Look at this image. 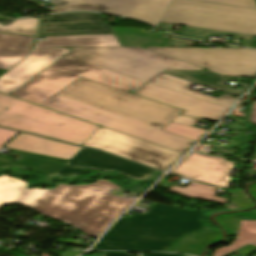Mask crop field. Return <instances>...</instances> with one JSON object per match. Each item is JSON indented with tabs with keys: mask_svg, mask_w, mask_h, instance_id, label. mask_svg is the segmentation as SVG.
Listing matches in <instances>:
<instances>
[{
	"mask_svg": "<svg viewBox=\"0 0 256 256\" xmlns=\"http://www.w3.org/2000/svg\"><path fill=\"white\" fill-rule=\"evenodd\" d=\"M164 73L179 77V78H183L189 81H193L229 94H233V95H237V96H241L243 93L246 92V90L242 89V90H238V89H233L230 88L227 85L222 84L224 81L228 80V81H232L238 84H242L244 85V88H251V85H247L244 83H240L237 81H233L230 79H226L224 77H221L219 75H216L214 73H211L209 71H189V70H166L164 71Z\"/></svg>",
	"mask_w": 256,
	"mask_h": 256,
	"instance_id": "20",
	"label": "crop field"
},
{
	"mask_svg": "<svg viewBox=\"0 0 256 256\" xmlns=\"http://www.w3.org/2000/svg\"><path fill=\"white\" fill-rule=\"evenodd\" d=\"M247 244L256 246V221L241 220L236 240L227 247L215 250L213 256H223Z\"/></svg>",
	"mask_w": 256,
	"mask_h": 256,
	"instance_id": "22",
	"label": "crop field"
},
{
	"mask_svg": "<svg viewBox=\"0 0 256 256\" xmlns=\"http://www.w3.org/2000/svg\"><path fill=\"white\" fill-rule=\"evenodd\" d=\"M123 46L132 47H169L168 33L165 35L148 34L146 29L112 28Z\"/></svg>",
	"mask_w": 256,
	"mask_h": 256,
	"instance_id": "21",
	"label": "crop field"
},
{
	"mask_svg": "<svg viewBox=\"0 0 256 256\" xmlns=\"http://www.w3.org/2000/svg\"><path fill=\"white\" fill-rule=\"evenodd\" d=\"M102 256H130V255H127L121 252H102ZM147 256H180V255L151 253Z\"/></svg>",
	"mask_w": 256,
	"mask_h": 256,
	"instance_id": "31",
	"label": "crop field"
},
{
	"mask_svg": "<svg viewBox=\"0 0 256 256\" xmlns=\"http://www.w3.org/2000/svg\"><path fill=\"white\" fill-rule=\"evenodd\" d=\"M26 186L25 182L1 176L0 209L20 203L41 214L72 224L93 236H99L134 201L113 196L109 190L120 188L101 179L91 185L60 184L52 190H26Z\"/></svg>",
	"mask_w": 256,
	"mask_h": 256,
	"instance_id": "2",
	"label": "crop field"
},
{
	"mask_svg": "<svg viewBox=\"0 0 256 256\" xmlns=\"http://www.w3.org/2000/svg\"><path fill=\"white\" fill-rule=\"evenodd\" d=\"M79 77L127 92L145 85V82L64 55L10 96L41 105Z\"/></svg>",
	"mask_w": 256,
	"mask_h": 256,
	"instance_id": "5",
	"label": "crop field"
},
{
	"mask_svg": "<svg viewBox=\"0 0 256 256\" xmlns=\"http://www.w3.org/2000/svg\"><path fill=\"white\" fill-rule=\"evenodd\" d=\"M68 164L93 167L107 171L109 169H115L123 174L136 177L145 178L150 175L154 170L137 165L135 163L114 157L112 155L93 150L82 148L69 162Z\"/></svg>",
	"mask_w": 256,
	"mask_h": 256,
	"instance_id": "15",
	"label": "crop field"
},
{
	"mask_svg": "<svg viewBox=\"0 0 256 256\" xmlns=\"http://www.w3.org/2000/svg\"><path fill=\"white\" fill-rule=\"evenodd\" d=\"M135 94L165 102L186 110L183 114L219 121L230 109L181 94L154 84H146Z\"/></svg>",
	"mask_w": 256,
	"mask_h": 256,
	"instance_id": "14",
	"label": "crop field"
},
{
	"mask_svg": "<svg viewBox=\"0 0 256 256\" xmlns=\"http://www.w3.org/2000/svg\"><path fill=\"white\" fill-rule=\"evenodd\" d=\"M66 55L107 68L137 80L151 82L227 108L237 98L221 95L218 99L187 89L193 82L162 73L166 69L203 70L184 61L143 48L75 47Z\"/></svg>",
	"mask_w": 256,
	"mask_h": 256,
	"instance_id": "4",
	"label": "crop field"
},
{
	"mask_svg": "<svg viewBox=\"0 0 256 256\" xmlns=\"http://www.w3.org/2000/svg\"><path fill=\"white\" fill-rule=\"evenodd\" d=\"M162 130L171 132L192 140L197 141V139L200 137V135H203L207 132V130L198 129L174 122H170L167 126H165Z\"/></svg>",
	"mask_w": 256,
	"mask_h": 256,
	"instance_id": "26",
	"label": "crop field"
},
{
	"mask_svg": "<svg viewBox=\"0 0 256 256\" xmlns=\"http://www.w3.org/2000/svg\"><path fill=\"white\" fill-rule=\"evenodd\" d=\"M204 210L155 204L145 215L121 217L94 247L101 250L182 252L200 256L221 234L202 224Z\"/></svg>",
	"mask_w": 256,
	"mask_h": 256,
	"instance_id": "3",
	"label": "crop field"
},
{
	"mask_svg": "<svg viewBox=\"0 0 256 256\" xmlns=\"http://www.w3.org/2000/svg\"><path fill=\"white\" fill-rule=\"evenodd\" d=\"M212 186L201 184L192 181L183 191L179 194L185 195L187 197H194L198 199L215 201L224 204L226 198L215 197V191L212 190Z\"/></svg>",
	"mask_w": 256,
	"mask_h": 256,
	"instance_id": "23",
	"label": "crop field"
},
{
	"mask_svg": "<svg viewBox=\"0 0 256 256\" xmlns=\"http://www.w3.org/2000/svg\"><path fill=\"white\" fill-rule=\"evenodd\" d=\"M83 146L106 151L166 171L182 154L100 127Z\"/></svg>",
	"mask_w": 256,
	"mask_h": 256,
	"instance_id": "8",
	"label": "crop field"
},
{
	"mask_svg": "<svg viewBox=\"0 0 256 256\" xmlns=\"http://www.w3.org/2000/svg\"><path fill=\"white\" fill-rule=\"evenodd\" d=\"M99 126L49 110L24 132L81 145Z\"/></svg>",
	"mask_w": 256,
	"mask_h": 256,
	"instance_id": "10",
	"label": "crop field"
},
{
	"mask_svg": "<svg viewBox=\"0 0 256 256\" xmlns=\"http://www.w3.org/2000/svg\"><path fill=\"white\" fill-rule=\"evenodd\" d=\"M222 76L256 79V50L204 48H147Z\"/></svg>",
	"mask_w": 256,
	"mask_h": 256,
	"instance_id": "7",
	"label": "crop field"
},
{
	"mask_svg": "<svg viewBox=\"0 0 256 256\" xmlns=\"http://www.w3.org/2000/svg\"><path fill=\"white\" fill-rule=\"evenodd\" d=\"M112 33L100 14L73 13L41 19L39 35H79Z\"/></svg>",
	"mask_w": 256,
	"mask_h": 256,
	"instance_id": "12",
	"label": "crop field"
},
{
	"mask_svg": "<svg viewBox=\"0 0 256 256\" xmlns=\"http://www.w3.org/2000/svg\"><path fill=\"white\" fill-rule=\"evenodd\" d=\"M18 132L0 128V148L10 141Z\"/></svg>",
	"mask_w": 256,
	"mask_h": 256,
	"instance_id": "28",
	"label": "crop field"
},
{
	"mask_svg": "<svg viewBox=\"0 0 256 256\" xmlns=\"http://www.w3.org/2000/svg\"><path fill=\"white\" fill-rule=\"evenodd\" d=\"M172 0H50L49 11H99L131 17L157 26ZM55 2V4H54ZM173 2V1H172Z\"/></svg>",
	"mask_w": 256,
	"mask_h": 256,
	"instance_id": "9",
	"label": "crop field"
},
{
	"mask_svg": "<svg viewBox=\"0 0 256 256\" xmlns=\"http://www.w3.org/2000/svg\"><path fill=\"white\" fill-rule=\"evenodd\" d=\"M233 166L234 163L225 158L192 152L171 174L229 188Z\"/></svg>",
	"mask_w": 256,
	"mask_h": 256,
	"instance_id": "11",
	"label": "crop field"
},
{
	"mask_svg": "<svg viewBox=\"0 0 256 256\" xmlns=\"http://www.w3.org/2000/svg\"><path fill=\"white\" fill-rule=\"evenodd\" d=\"M250 191L256 197V185L251 186ZM217 219L225 228L237 231L240 219L256 220V210L251 212L224 215L218 217Z\"/></svg>",
	"mask_w": 256,
	"mask_h": 256,
	"instance_id": "25",
	"label": "crop field"
},
{
	"mask_svg": "<svg viewBox=\"0 0 256 256\" xmlns=\"http://www.w3.org/2000/svg\"><path fill=\"white\" fill-rule=\"evenodd\" d=\"M67 52L64 48L31 50L23 61L0 77V92L11 94Z\"/></svg>",
	"mask_w": 256,
	"mask_h": 256,
	"instance_id": "13",
	"label": "crop field"
},
{
	"mask_svg": "<svg viewBox=\"0 0 256 256\" xmlns=\"http://www.w3.org/2000/svg\"><path fill=\"white\" fill-rule=\"evenodd\" d=\"M214 3H221L245 8L256 9V3L254 0H200Z\"/></svg>",
	"mask_w": 256,
	"mask_h": 256,
	"instance_id": "27",
	"label": "crop field"
},
{
	"mask_svg": "<svg viewBox=\"0 0 256 256\" xmlns=\"http://www.w3.org/2000/svg\"><path fill=\"white\" fill-rule=\"evenodd\" d=\"M249 121L256 124V102L250 104Z\"/></svg>",
	"mask_w": 256,
	"mask_h": 256,
	"instance_id": "32",
	"label": "crop field"
},
{
	"mask_svg": "<svg viewBox=\"0 0 256 256\" xmlns=\"http://www.w3.org/2000/svg\"><path fill=\"white\" fill-rule=\"evenodd\" d=\"M42 106L182 154L195 143L161 130L181 109L82 78Z\"/></svg>",
	"mask_w": 256,
	"mask_h": 256,
	"instance_id": "1",
	"label": "crop field"
},
{
	"mask_svg": "<svg viewBox=\"0 0 256 256\" xmlns=\"http://www.w3.org/2000/svg\"><path fill=\"white\" fill-rule=\"evenodd\" d=\"M35 37L0 34V69L9 70L28 54Z\"/></svg>",
	"mask_w": 256,
	"mask_h": 256,
	"instance_id": "19",
	"label": "crop field"
},
{
	"mask_svg": "<svg viewBox=\"0 0 256 256\" xmlns=\"http://www.w3.org/2000/svg\"><path fill=\"white\" fill-rule=\"evenodd\" d=\"M84 171V169L76 167V166H72V165H68L66 164L62 169H60L56 174L59 175H65V176H70L73 174H77Z\"/></svg>",
	"mask_w": 256,
	"mask_h": 256,
	"instance_id": "29",
	"label": "crop field"
},
{
	"mask_svg": "<svg viewBox=\"0 0 256 256\" xmlns=\"http://www.w3.org/2000/svg\"><path fill=\"white\" fill-rule=\"evenodd\" d=\"M74 46L121 47L112 34L45 37V41H36L33 49Z\"/></svg>",
	"mask_w": 256,
	"mask_h": 256,
	"instance_id": "18",
	"label": "crop field"
},
{
	"mask_svg": "<svg viewBox=\"0 0 256 256\" xmlns=\"http://www.w3.org/2000/svg\"><path fill=\"white\" fill-rule=\"evenodd\" d=\"M48 109L0 93V127L23 131Z\"/></svg>",
	"mask_w": 256,
	"mask_h": 256,
	"instance_id": "16",
	"label": "crop field"
},
{
	"mask_svg": "<svg viewBox=\"0 0 256 256\" xmlns=\"http://www.w3.org/2000/svg\"><path fill=\"white\" fill-rule=\"evenodd\" d=\"M172 121L192 126L195 123L199 122L200 119H195V118H191V117H186V116L178 115Z\"/></svg>",
	"mask_w": 256,
	"mask_h": 256,
	"instance_id": "30",
	"label": "crop field"
},
{
	"mask_svg": "<svg viewBox=\"0 0 256 256\" xmlns=\"http://www.w3.org/2000/svg\"><path fill=\"white\" fill-rule=\"evenodd\" d=\"M37 23L38 19L33 17L14 20L13 23L6 26L0 24V32L36 35Z\"/></svg>",
	"mask_w": 256,
	"mask_h": 256,
	"instance_id": "24",
	"label": "crop field"
},
{
	"mask_svg": "<svg viewBox=\"0 0 256 256\" xmlns=\"http://www.w3.org/2000/svg\"><path fill=\"white\" fill-rule=\"evenodd\" d=\"M161 22L256 36V10L173 0Z\"/></svg>",
	"mask_w": 256,
	"mask_h": 256,
	"instance_id": "6",
	"label": "crop field"
},
{
	"mask_svg": "<svg viewBox=\"0 0 256 256\" xmlns=\"http://www.w3.org/2000/svg\"><path fill=\"white\" fill-rule=\"evenodd\" d=\"M5 147L70 160L82 147L23 133Z\"/></svg>",
	"mask_w": 256,
	"mask_h": 256,
	"instance_id": "17",
	"label": "crop field"
}]
</instances>
